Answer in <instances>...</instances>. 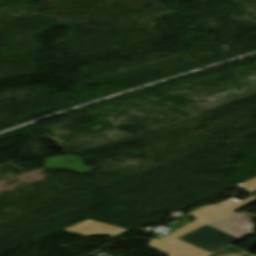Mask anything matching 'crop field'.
Listing matches in <instances>:
<instances>
[{
	"label": "crop field",
	"mask_w": 256,
	"mask_h": 256,
	"mask_svg": "<svg viewBox=\"0 0 256 256\" xmlns=\"http://www.w3.org/2000/svg\"><path fill=\"white\" fill-rule=\"evenodd\" d=\"M256 201V197H251L243 202H239L235 199L224 203L220 206H216V207H210V208H205L203 210H200L198 212H195L193 214H191V216H194L197 220L185 225V224H181L178 223L176 225H174L169 231L173 232L172 234L168 235L167 237L163 238L162 240H166V241H171L175 238H178L198 227H201L205 224H208L216 219H219L237 209H240L252 202Z\"/></svg>",
	"instance_id": "1"
},
{
	"label": "crop field",
	"mask_w": 256,
	"mask_h": 256,
	"mask_svg": "<svg viewBox=\"0 0 256 256\" xmlns=\"http://www.w3.org/2000/svg\"><path fill=\"white\" fill-rule=\"evenodd\" d=\"M178 239L212 253L239 238L205 225Z\"/></svg>",
	"instance_id": "2"
},
{
	"label": "crop field",
	"mask_w": 256,
	"mask_h": 256,
	"mask_svg": "<svg viewBox=\"0 0 256 256\" xmlns=\"http://www.w3.org/2000/svg\"><path fill=\"white\" fill-rule=\"evenodd\" d=\"M150 246L169 256H208L210 253L182 242L178 239L167 243L160 240H152ZM191 252V254H189Z\"/></svg>",
	"instance_id": "3"
},
{
	"label": "crop field",
	"mask_w": 256,
	"mask_h": 256,
	"mask_svg": "<svg viewBox=\"0 0 256 256\" xmlns=\"http://www.w3.org/2000/svg\"><path fill=\"white\" fill-rule=\"evenodd\" d=\"M96 228H98V230H96ZM65 231L79 234L82 236L109 235L111 237H115L121 233L126 232V230L124 229L101 224L91 220H87L85 222L74 225L70 228L65 229Z\"/></svg>",
	"instance_id": "4"
},
{
	"label": "crop field",
	"mask_w": 256,
	"mask_h": 256,
	"mask_svg": "<svg viewBox=\"0 0 256 256\" xmlns=\"http://www.w3.org/2000/svg\"><path fill=\"white\" fill-rule=\"evenodd\" d=\"M211 256H253V255L231 245L215 254H212Z\"/></svg>",
	"instance_id": "5"
},
{
	"label": "crop field",
	"mask_w": 256,
	"mask_h": 256,
	"mask_svg": "<svg viewBox=\"0 0 256 256\" xmlns=\"http://www.w3.org/2000/svg\"><path fill=\"white\" fill-rule=\"evenodd\" d=\"M239 186L251 193H254V192H256V178H254L244 184H241Z\"/></svg>",
	"instance_id": "6"
}]
</instances>
